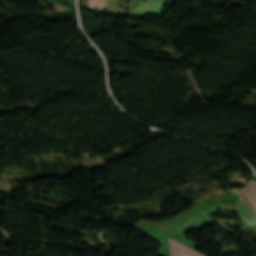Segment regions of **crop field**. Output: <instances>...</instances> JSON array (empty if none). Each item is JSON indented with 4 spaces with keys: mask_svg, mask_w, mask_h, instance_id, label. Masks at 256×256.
Instances as JSON below:
<instances>
[{
    "mask_svg": "<svg viewBox=\"0 0 256 256\" xmlns=\"http://www.w3.org/2000/svg\"><path fill=\"white\" fill-rule=\"evenodd\" d=\"M173 256H199L198 254L169 241Z\"/></svg>",
    "mask_w": 256,
    "mask_h": 256,
    "instance_id": "5",
    "label": "crop field"
},
{
    "mask_svg": "<svg viewBox=\"0 0 256 256\" xmlns=\"http://www.w3.org/2000/svg\"><path fill=\"white\" fill-rule=\"evenodd\" d=\"M202 213L201 212L198 213L197 215L193 216L192 218H190L186 222L182 223L181 225H179L178 227H176L175 229H173L172 231L168 232L165 235H167L168 237L177 241L178 239H180L182 236H184L186 233H188L193 228L200 229V228L212 223L210 221V219L208 217H206L207 215L205 216ZM184 238H185V236L183 238H181L178 242H180L192 249L199 246L191 241L185 240L186 238L185 239Z\"/></svg>",
    "mask_w": 256,
    "mask_h": 256,
    "instance_id": "1",
    "label": "crop field"
},
{
    "mask_svg": "<svg viewBox=\"0 0 256 256\" xmlns=\"http://www.w3.org/2000/svg\"><path fill=\"white\" fill-rule=\"evenodd\" d=\"M166 0H147L141 2L136 14H160Z\"/></svg>",
    "mask_w": 256,
    "mask_h": 256,
    "instance_id": "2",
    "label": "crop field"
},
{
    "mask_svg": "<svg viewBox=\"0 0 256 256\" xmlns=\"http://www.w3.org/2000/svg\"><path fill=\"white\" fill-rule=\"evenodd\" d=\"M240 208L236 209L239 214L242 216L245 223H255L256 222V213L241 199L238 202Z\"/></svg>",
    "mask_w": 256,
    "mask_h": 256,
    "instance_id": "3",
    "label": "crop field"
},
{
    "mask_svg": "<svg viewBox=\"0 0 256 256\" xmlns=\"http://www.w3.org/2000/svg\"><path fill=\"white\" fill-rule=\"evenodd\" d=\"M108 3H109V4H113V5H114L115 0H109V1H108Z\"/></svg>",
    "mask_w": 256,
    "mask_h": 256,
    "instance_id": "8",
    "label": "crop field"
},
{
    "mask_svg": "<svg viewBox=\"0 0 256 256\" xmlns=\"http://www.w3.org/2000/svg\"><path fill=\"white\" fill-rule=\"evenodd\" d=\"M107 0H89L87 7H96L100 9L101 12L104 11Z\"/></svg>",
    "mask_w": 256,
    "mask_h": 256,
    "instance_id": "6",
    "label": "crop field"
},
{
    "mask_svg": "<svg viewBox=\"0 0 256 256\" xmlns=\"http://www.w3.org/2000/svg\"><path fill=\"white\" fill-rule=\"evenodd\" d=\"M222 208H224V204H223V203H220V204H218L217 206H215V207H213V208H211V209H208V210H206V211H204V212H205L206 214H208V215H211V214H213V213L219 211V210L222 209Z\"/></svg>",
    "mask_w": 256,
    "mask_h": 256,
    "instance_id": "7",
    "label": "crop field"
},
{
    "mask_svg": "<svg viewBox=\"0 0 256 256\" xmlns=\"http://www.w3.org/2000/svg\"><path fill=\"white\" fill-rule=\"evenodd\" d=\"M241 196L245 195L248 202L256 210V182H251L250 185L242 190L237 191Z\"/></svg>",
    "mask_w": 256,
    "mask_h": 256,
    "instance_id": "4",
    "label": "crop field"
}]
</instances>
